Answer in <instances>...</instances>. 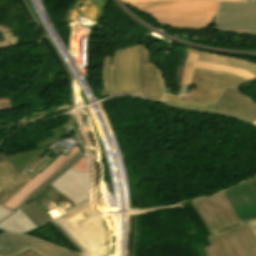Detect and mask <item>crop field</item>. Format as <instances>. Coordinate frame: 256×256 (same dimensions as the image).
<instances>
[{
    "label": "crop field",
    "instance_id": "crop-field-9",
    "mask_svg": "<svg viewBox=\"0 0 256 256\" xmlns=\"http://www.w3.org/2000/svg\"><path fill=\"white\" fill-rule=\"evenodd\" d=\"M75 206L88 199L87 156L50 184Z\"/></svg>",
    "mask_w": 256,
    "mask_h": 256
},
{
    "label": "crop field",
    "instance_id": "crop-field-26",
    "mask_svg": "<svg viewBox=\"0 0 256 256\" xmlns=\"http://www.w3.org/2000/svg\"><path fill=\"white\" fill-rule=\"evenodd\" d=\"M252 123V122H251ZM253 124H256V122H254Z\"/></svg>",
    "mask_w": 256,
    "mask_h": 256
},
{
    "label": "crop field",
    "instance_id": "crop-field-14",
    "mask_svg": "<svg viewBox=\"0 0 256 256\" xmlns=\"http://www.w3.org/2000/svg\"><path fill=\"white\" fill-rule=\"evenodd\" d=\"M37 228L30 219L19 209L0 223V230L26 233Z\"/></svg>",
    "mask_w": 256,
    "mask_h": 256
},
{
    "label": "crop field",
    "instance_id": "crop-field-12",
    "mask_svg": "<svg viewBox=\"0 0 256 256\" xmlns=\"http://www.w3.org/2000/svg\"><path fill=\"white\" fill-rule=\"evenodd\" d=\"M177 50L184 51L187 53L199 54L198 60H197L199 62H210V63L220 64V65L235 67V68H239L244 71H247L249 73H252L256 76V63H253V62H249V61H245V60H241L233 57L216 55V54L199 51V50H193V49L179 48Z\"/></svg>",
    "mask_w": 256,
    "mask_h": 256
},
{
    "label": "crop field",
    "instance_id": "crop-field-3",
    "mask_svg": "<svg viewBox=\"0 0 256 256\" xmlns=\"http://www.w3.org/2000/svg\"><path fill=\"white\" fill-rule=\"evenodd\" d=\"M246 81L248 80L233 74L195 68L190 85H197V87L191 99L185 100L168 95H165V98L171 102L213 109L225 88L236 89Z\"/></svg>",
    "mask_w": 256,
    "mask_h": 256
},
{
    "label": "crop field",
    "instance_id": "crop-field-22",
    "mask_svg": "<svg viewBox=\"0 0 256 256\" xmlns=\"http://www.w3.org/2000/svg\"><path fill=\"white\" fill-rule=\"evenodd\" d=\"M248 226L256 237V218L247 221Z\"/></svg>",
    "mask_w": 256,
    "mask_h": 256
},
{
    "label": "crop field",
    "instance_id": "crop-field-21",
    "mask_svg": "<svg viewBox=\"0 0 256 256\" xmlns=\"http://www.w3.org/2000/svg\"><path fill=\"white\" fill-rule=\"evenodd\" d=\"M12 213H13V211H11L3 206H0V222L2 220H4L5 218H7Z\"/></svg>",
    "mask_w": 256,
    "mask_h": 256
},
{
    "label": "crop field",
    "instance_id": "crop-field-6",
    "mask_svg": "<svg viewBox=\"0 0 256 256\" xmlns=\"http://www.w3.org/2000/svg\"><path fill=\"white\" fill-rule=\"evenodd\" d=\"M59 232L70 241L80 253L83 251L75 244L71 237L56 223L51 222ZM33 249L41 256H80L81 254L61 248L50 243L44 242L38 238L6 232L0 235V256H17L28 249Z\"/></svg>",
    "mask_w": 256,
    "mask_h": 256
},
{
    "label": "crop field",
    "instance_id": "crop-field-5",
    "mask_svg": "<svg viewBox=\"0 0 256 256\" xmlns=\"http://www.w3.org/2000/svg\"><path fill=\"white\" fill-rule=\"evenodd\" d=\"M68 155V154H67ZM84 156L80 145H75L67 157L60 155L41 173L35 176L16 195L8 200L3 206L15 211L25 203L34 199L50 183L61 176L68 168Z\"/></svg>",
    "mask_w": 256,
    "mask_h": 256
},
{
    "label": "crop field",
    "instance_id": "crop-field-20",
    "mask_svg": "<svg viewBox=\"0 0 256 256\" xmlns=\"http://www.w3.org/2000/svg\"><path fill=\"white\" fill-rule=\"evenodd\" d=\"M93 172H94L95 184L97 186L99 179H101V174H100V165L95 160H93Z\"/></svg>",
    "mask_w": 256,
    "mask_h": 256
},
{
    "label": "crop field",
    "instance_id": "crop-field-19",
    "mask_svg": "<svg viewBox=\"0 0 256 256\" xmlns=\"http://www.w3.org/2000/svg\"><path fill=\"white\" fill-rule=\"evenodd\" d=\"M92 3L98 6V15L97 17H102L103 12L107 6L108 0H90Z\"/></svg>",
    "mask_w": 256,
    "mask_h": 256
},
{
    "label": "crop field",
    "instance_id": "crop-field-7",
    "mask_svg": "<svg viewBox=\"0 0 256 256\" xmlns=\"http://www.w3.org/2000/svg\"><path fill=\"white\" fill-rule=\"evenodd\" d=\"M216 30L256 35V1L247 3L221 2Z\"/></svg>",
    "mask_w": 256,
    "mask_h": 256
},
{
    "label": "crop field",
    "instance_id": "crop-field-13",
    "mask_svg": "<svg viewBox=\"0 0 256 256\" xmlns=\"http://www.w3.org/2000/svg\"><path fill=\"white\" fill-rule=\"evenodd\" d=\"M197 56L198 55H194V54L188 55L187 63H186L185 69H184L182 84H187V85L190 84V80H191V76H192L194 67L230 72V73L236 74L238 76L244 77L248 80H251L252 78L255 77V76H253L247 72H244L242 70H239V69L210 64V63L196 62Z\"/></svg>",
    "mask_w": 256,
    "mask_h": 256
},
{
    "label": "crop field",
    "instance_id": "crop-field-2",
    "mask_svg": "<svg viewBox=\"0 0 256 256\" xmlns=\"http://www.w3.org/2000/svg\"><path fill=\"white\" fill-rule=\"evenodd\" d=\"M153 16L158 23L186 29L207 28L218 0H121ZM243 1V0H222Z\"/></svg>",
    "mask_w": 256,
    "mask_h": 256
},
{
    "label": "crop field",
    "instance_id": "crop-field-23",
    "mask_svg": "<svg viewBox=\"0 0 256 256\" xmlns=\"http://www.w3.org/2000/svg\"><path fill=\"white\" fill-rule=\"evenodd\" d=\"M19 256H40V255H38L36 252L30 249Z\"/></svg>",
    "mask_w": 256,
    "mask_h": 256
},
{
    "label": "crop field",
    "instance_id": "crop-field-17",
    "mask_svg": "<svg viewBox=\"0 0 256 256\" xmlns=\"http://www.w3.org/2000/svg\"><path fill=\"white\" fill-rule=\"evenodd\" d=\"M226 239L230 243L235 256H250L238 233L228 236Z\"/></svg>",
    "mask_w": 256,
    "mask_h": 256
},
{
    "label": "crop field",
    "instance_id": "crop-field-18",
    "mask_svg": "<svg viewBox=\"0 0 256 256\" xmlns=\"http://www.w3.org/2000/svg\"><path fill=\"white\" fill-rule=\"evenodd\" d=\"M4 41L0 42V49L16 46L17 37H12V33L4 34Z\"/></svg>",
    "mask_w": 256,
    "mask_h": 256
},
{
    "label": "crop field",
    "instance_id": "crop-field-10",
    "mask_svg": "<svg viewBox=\"0 0 256 256\" xmlns=\"http://www.w3.org/2000/svg\"><path fill=\"white\" fill-rule=\"evenodd\" d=\"M148 51L144 45H137L139 94L145 98L163 102V89L160 69L156 64H147Z\"/></svg>",
    "mask_w": 256,
    "mask_h": 256
},
{
    "label": "crop field",
    "instance_id": "crop-field-16",
    "mask_svg": "<svg viewBox=\"0 0 256 256\" xmlns=\"http://www.w3.org/2000/svg\"><path fill=\"white\" fill-rule=\"evenodd\" d=\"M47 148L37 149L29 152L16 153L8 155L7 158L14 164V166L21 172L29 164H31L40 154H42Z\"/></svg>",
    "mask_w": 256,
    "mask_h": 256
},
{
    "label": "crop field",
    "instance_id": "crop-field-1",
    "mask_svg": "<svg viewBox=\"0 0 256 256\" xmlns=\"http://www.w3.org/2000/svg\"><path fill=\"white\" fill-rule=\"evenodd\" d=\"M190 203L211 235L207 237L211 246L203 247L206 256H234L224 237L236 232L251 256H256V239L245 222L256 217V177Z\"/></svg>",
    "mask_w": 256,
    "mask_h": 256
},
{
    "label": "crop field",
    "instance_id": "crop-field-8",
    "mask_svg": "<svg viewBox=\"0 0 256 256\" xmlns=\"http://www.w3.org/2000/svg\"><path fill=\"white\" fill-rule=\"evenodd\" d=\"M166 103L173 107L182 109L209 111L229 115L249 123L256 121V104L251 103V101H249L237 90L225 89L213 110L203 107L176 104L167 101Z\"/></svg>",
    "mask_w": 256,
    "mask_h": 256
},
{
    "label": "crop field",
    "instance_id": "crop-field-24",
    "mask_svg": "<svg viewBox=\"0 0 256 256\" xmlns=\"http://www.w3.org/2000/svg\"><path fill=\"white\" fill-rule=\"evenodd\" d=\"M163 83H164V90H165V93L170 94V95H173L171 89L168 88L167 85H166L165 78L163 79Z\"/></svg>",
    "mask_w": 256,
    "mask_h": 256
},
{
    "label": "crop field",
    "instance_id": "crop-field-28",
    "mask_svg": "<svg viewBox=\"0 0 256 256\" xmlns=\"http://www.w3.org/2000/svg\"><path fill=\"white\" fill-rule=\"evenodd\" d=\"M0 190H2V189L0 188Z\"/></svg>",
    "mask_w": 256,
    "mask_h": 256
},
{
    "label": "crop field",
    "instance_id": "crop-field-27",
    "mask_svg": "<svg viewBox=\"0 0 256 256\" xmlns=\"http://www.w3.org/2000/svg\"><path fill=\"white\" fill-rule=\"evenodd\" d=\"M246 1H250V0H246Z\"/></svg>",
    "mask_w": 256,
    "mask_h": 256
},
{
    "label": "crop field",
    "instance_id": "crop-field-15",
    "mask_svg": "<svg viewBox=\"0 0 256 256\" xmlns=\"http://www.w3.org/2000/svg\"><path fill=\"white\" fill-rule=\"evenodd\" d=\"M20 209L34 222L37 227L53 220L34 200L30 201Z\"/></svg>",
    "mask_w": 256,
    "mask_h": 256
},
{
    "label": "crop field",
    "instance_id": "crop-field-4",
    "mask_svg": "<svg viewBox=\"0 0 256 256\" xmlns=\"http://www.w3.org/2000/svg\"><path fill=\"white\" fill-rule=\"evenodd\" d=\"M103 83L107 94L117 92L138 93L136 46L116 50L112 63L106 58Z\"/></svg>",
    "mask_w": 256,
    "mask_h": 256
},
{
    "label": "crop field",
    "instance_id": "crop-field-11",
    "mask_svg": "<svg viewBox=\"0 0 256 256\" xmlns=\"http://www.w3.org/2000/svg\"><path fill=\"white\" fill-rule=\"evenodd\" d=\"M31 178L21 174L5 157L0 156V205L16 194ZM4 205V204H3Z\"/></svg>",
    "mask_w": 256,
    "mask_h": 256
},
{
    "label": "crop field",
    "instance_id": "crop-field-25",
    "mask_svg": "<svg viewBox=\"0 0 256 256\" xmlns=\"http://www.w3.org/2000/svg\"><path fill=\"white\" fill-rule=\"evenodd\" d=\"M0 31H1L2 33H4V32H6V31H10V29H9V28H6V27H3V26H0Z\"/></svg>",
    "mask_w": 256,
    "mask_h": 256
}]
</instances>
